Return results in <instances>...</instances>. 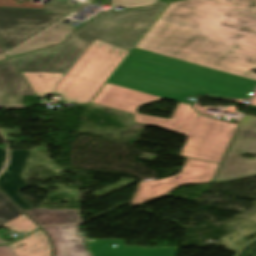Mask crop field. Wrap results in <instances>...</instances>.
Listing matches in <instances>:
<instances>
[{"label":"crop field","mask_w":256,"mask_h":256,"mask_svg":"<svg viewBox=\"0 0 256 256\" xmlns=\"http://www.w3.org/2000/svg\"><path fill=\"white\" fill-rule=\"evenodd\" d=\"M136 48L256 80V0L171 3Z\"/></svg>","instance_id":"crop-field-1"},{"label":"crop field","mask_w":256,"mask_h":256,"mask_svg":"<svg viewBox=\"0 0 256 256\" xmlns=\"http://www.w3.org/2000/svg\"><path fill=\"white\" fill-rule=\"evenodd\" d=\"M108 83L191 103V95L249 100L256 81L133 48ZM158 96V97H159Z\"/></svg>","instance_id":"crop-field-2"},{"label":"crop field","mask_w":256,"mask_h":256,"mask_svg":"<svg viewBox=\"0 0 256 256\" xmlns=\"http://www.w3.org/2000/svg\"><path fill=\"white\" fill-rule=\"evenodd\" d=\"M165 98L105 83L91 104L134 114V122L158 126L186 136L179 156L220 163L237 124L205 117L178 102L170 120L136 113L140 106Z\"/></svg>","instance_id":"crop-field-3"},{"label":"crop field","mask_w":256,"mask_h":256,"mask_svg":"<svg viewBox=\"0 0 256 256\" xmlns=\"http://www.w3.org/2000/svg\"><path fill=\"white\" fill-rule=\"evenodd\" d=\"M165 6L167 4L162 2L153 7L103 13L72 35L65 44L12 60L20 71L66 73L95 39L130 51Z\"/></svg>","instance_id":"crop-field-4"},{"label":"crop field","mask_w":256,"mask_h":256,"mask_svg":"<svg viewBox=\"0 0 256 256\" xmlns=\"http://www.w3.org/2000/svg\"><path fill=\"white\" fill-rule=\"evenodd\" d=\"M129 51L95 40L55 88L66 103H88Z\"/></svg>","instance_id":"crop-field-5"},{"label":"crop field","mask_w":256,"mask_h":256,"mask_svg":"<svg viewBox=\"0 0 256 256\" xmlns=\"http://www.w3.org/2000/svg\"><path fill=\"white\" fill-rule=\"evenodd\" d=\"M77 7L68 0H53L43 10L0 7V45L6 52Z\"/></svg>","instance_id":"crop-field-6"},{"label":"crop field","mask_w":256,"mask_h":256,"mask_svg":"<svg viewBox=\"0 0 256 256\" xmlns=\"http://www.w3.org/2000/svg\"><path fill=\"white\" fill-rule=\"evenodd\" d=\"M242 153L256 154V118L244 115L211 182L256 174V158L246 160Z\"/></svg>","instance_id":"crop-field-7"},{"label":"crop field","mask_w":256,"mask_h":256,"mask_svg":"<svg viewBox=\"0 0 256 256\" xmlns=\"http://www.w3.org/2000/svg\"><path fill=\"white\" fill-rule=\"evenodd\" d=\"M218 165L187 158L180 174L161 180L140 182L130 206L159 198L180 185L210 182Z\"/></svg>","instance_id":"crop-field-8"},{"label":"crop field","mask_w":256,"mask_h":256,"mask_svg":"<svg viewBox=\"0 0 256 256\" xmlns=\"http://www.w3.org/2000/svg\"><path fill=\"white\" fill-rule=\"evenodd\" d=\"M34 95L10 59L0 63V107L24 108L20 96Z\"/></svg>","instance_id":"crop-field-9"},{"label":"crop field","mask_w":256,"mask_h":256,"mask_svg":"<svg viewBox=\"0 0 256 256\" xmlns=\"http://www.w3.org/2000/svg\"><path fill=\"white\" fill-rule=\"evenodd\" d=\"M29 151H10V163L0 176L1 191L25 212L32 207L19 196V191L29 186L21 177Z\"/></svg>","instance_id":"crop-field-10"},{"label":"crop field","mask_w":256,"mask_h":256,"mask_svg":"<svg viewBox=\"0 0 256 256\" xmlns=\"http://www.w3.org/2000/svg\"><path fill=\"white\" fill-rule=\"evenodd\" d=\"M93 256H175L179 247L146 249L141 246H125L124 240L88 239ZM118 244V248H112Z\"/></svg>","instance_id":"crop-field-11"},{"label":"crop field","mask_w":256,"mask_h":256,"mask_svg":"<svg viewBox=\"0 0 256 256\" xmlns=\"http://www.w3.org/2000/svg\"><path fill=\"white\" fill-rule=\"evenodd\" d=\"M78 225L41 227L54 245V256H90L77 236Z\"/></svg>","instance_id":"crop-field-12"},{"label":"crop field","mask_w":256,"mask_h":256,"mask_svg":"<svg viewBox=\"0 0 256 256\" xmlns=\"http://www.w3.org/2000/svg\"><path fill=\"white\" fill-rule=\"evenodd\" d=\"M9 246L16 256H52V245L41 229Z\"/></svg>","instance_id":"crop-field-13"},{"label":"crop field","mask_w":256,"mask_h":256,"mask_svg":"<svg viewBox=\"0 0 256 256\" xmlns=\"http://www.w3.org/2000/svg\"><path fill=\"white\" fill-rule=\"evenodd\" d=\"M65 20L10 52V55H15L64 41L66 37L75 30V28L69 27L67 24L63 23Z\"/></svg>","instance_id":"crop-field-14"},{"label":"crop field","mask_w":256,"mask_h":256,"mask_svg":"<svg viewBox=\"0 0 256 256\" xmlns=\"http://www.w3.org/2000/svg\"><path fill=\"white\" fill-rule=\"evenodd\" d=\"M35 95L54 94L53 89L63 78V74L21 72Z\"/></svg>","instance_id":"crop-field-15"},{"label":"crop field","mask_w":256,"mask_h":256,"mask_svg":"<svg viewBox=\"0 0 256 256\" xmlns=\"http://www.w3.org/2000/svg\"><path fill=\"white\" fill-rule=\"evenodd\" d=\"M38 225L78 223L75 210H30L26 213Z\"/></svg>","instance_id":"crop-field-16"},{"label":"crop field","mask_w":256,"mask_h":256,"mask_svg":"<svg viewBox=\"0 0 256 256\" xmlns=\"http://www.w3.org/2000/svg\"><path fill=\"white\" fill-rule=\"evenodd\" d=\"M24 214L0 192V226Z\"/></svg>","instance_id":"crop-field-17"},{"label":"crop field","mask_w":256,"mask_h":256,"mask_svg":"<svg viewBox=\"0 0 256 256\" xmlns=\"http://www.w3.org/2000/svg\"><path fill=\"white\" fill-rule=\"evenodd\" d=\"M2 227H6L17 232H28L35 228L36 225L24 214Z\"/></svg>","instance_id":"crop-field-18"},{"label":"crop field","mask_w":256,"mask_h":256,"mask_svg":"<svg viewBox=\"0 0 256 256\" xmlns=\"http://www.w3.org/2000/svg\"><path fill=\"white\" fill-rule=\"evenodd\" d=\"M159 0H111L112 6H124V8L148 6Z\"/></svg>","instance_id":"crop-field-19"},{"label":"crop field","mask_w":256,"mask_h":256,"mask_svg":"<svg viewBox=\"0 0 256 256\" xmlns=\"http://www.w3.org/2000/svg\"><path fill=\"white\" fill-rule=\"evenodd\" d=\"M0 256H15L8 245L0 246Z\"/></svg>","instance_id":"crop-field-20"},{"label":"crop field","mask_w":256,"mask_h":256,"mask_svg":"<svg viewBox=\"0 0 256 256\" xmlns=\"http://www.w3.org/2000/svg\"><path fill=\"white\" fill-rule=\"evenodd\" d=\"M6 159L5 150L0 148V170L2 169Z\"/></svg>","instance_id":"crop-field-21"},{"label":"crop field","mask_w":256,"mask_h":256,"mask_svg":"<svg viewBox=\"0 0 256 256\" xmlns=\"http://www.w3.org/2000/svg\"><path fill=\"white\" fill-rule=\"evenodd\" d=\"M249 104L256 105V91H255V93H254V95H253V97H252V99H251Z\"/></svg>","instance_id":"crop-field-22"},{"label":"crop field","mask_w":256,"mask_h":256,"mask_svg":"<svg viewBox=\"0 0 256 256\" xmlns=\"http://www.w3.org/2000/svg\"><path fill=\"white\" fill-rule=\"evenodd\" d=\"M176 1H181V0H167L166 2L171 3V2H176Z\"/></svg>","instance_id":"crop-field-23"},{"label":"crop field","mask_w":256,"mask_h":256,"mask_svg":"<svg viewBox=\"0 0 256 256\" xmlns=\"http://www.w3.org/2000/svg\"><path fill=\"white\" fill-rule=\"evenodd\" d=\"M7 58V55L0 57V60Z\"/></svg>","instance_id":"crop-field-24"},{"label":"crop field","mask_w":256,"mask_h":256,"mask_svg":"<svg viewBox=\"0 0 256 256\" xmlns=\"http://www.w3.org/2000/svg\"><path fill=\"white\" fill-rule=\"evenodd\" d=\"M2 52H4V50L1 48V46H0V53H2Z\"/></svg>","instance_id":"crop-field-25"},{"label":"crop field","mask_w":256,"mask_h":256,"mask_svg":"<svg viewBox=\"0 0 256 256\" xmlns=\"http://www.w3.org/2000/svg\"><path fill=\"white\" fill-rule=\"evenodd\" d=\"M0 244H4V243H2V242L0 241Z\"/></svg>","instance_id":"crop-field-26"}]
</instances>
